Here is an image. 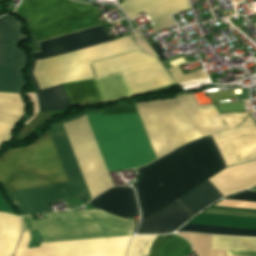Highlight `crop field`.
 I'll list each match as a JSON object with an SVG mask.
<instances>
[{"label": "crop field", "mask_w": 256, "mask_h": 256, "mask_svg": "<svg viewBox=\"0 0 256 256\" xmlns=\"http://www.w3.org/2000/svg\"><path fill=\"white\" fill-rule=\"evenodd\" d=\"M87 110L68 120L51 124L49 130L68 181L81 191L90 193L83 180L63 123L77 119ZM49 132L22 148L11 149L0 156V183L7 192L67 181ZM68 182L7 193L22 215L49 212L48 204L59 198L83 194Z\"/></svg>", "instance_id": "ac0d7876"}, {"label": "crop field", "mask_w": 256, "mask_h": 256, "mask_svg": "<svg viewBox=\"0 0 256 256\" xmlns=\"http://www.w3.org/2000/svg\"><path fill=\"white\" fill-rule=\"evenodd\" d=\"M151 46L156 51V53L158 54L160 60L166 59L164 57V55L161 53V52H164V50L157 43L151 44Z\"/></svg>", "instance_id": "ae1a2a85"}, {"label": "crop field", "mask_w": 256, "mask_h": 256, "mask_svg": "<svg viewBox=\"0 0 256 256\" xmlns=\"http://www.w3.org/2000/svg\"><path fill=\"white\" fill-rule=\"evenodd\" d=\"M32 221L22 217L24 229H38L43 242L132 235L135 221L124 220L100 210L47 214Z\"/></svg>", "instance_id": "dd49c442"}, {"label": "crop field", "mask_w": 256, "mask_h": 256, "mask_svg": "<svg viewBox=\"0 0 256 256\" xmlns=\"http://www.w3.org/2000/svg\"><path fill=\"white\" fill-rule=\"evenodd\" d=\"M170 235L166 236H136L134 237L130 244H129V251L127 256H158L159 249L161 244L169 237Z\"/></svg>", "instance_id": "bc2a9ffb"}, {"label": "crop field", "mask_w": 256, "mask_h": 256, "mask_svg": "<svg viewBox=\"0 0 256 256\" xmlns=\"http://www.w3.org/2000/svg\"><path fill=\"white\" fill-rule=\"evenodd\" d=\"M88 204L124 219L139 215L132 188H111Z\"/></svg>", "instance_id": "22f410ed"}, {"label": "crop field", "mask_w": 256, "mask_h": 256, "mask_svg": "<svg viewBox=\"0 0 256 256\" xmlns=\"http://www.w3.org/2000/svg\"><path fill=\"white\" fill-rule=\"evenodd\" d=\"M232 1H233L234 5H235L236 3H238V2H240L242 0H232Z\"/></svg>", "instance_id": "d3111659"}, {"label": "crop field", "mask_w": 256, "mask_h": 256, "mask_svg": "<svg viewBox=\"0 0 256 256\" xmlns=\"http://www.w3.org/2000/svg\"><path fill=\"white\" fill-rule=\"evenodd\" d=\"M138 112L157 158L202 138L178 105ZM224 168L226 166L211 136L137 168L140 179L133 186L142 213L140 222Z\"/></svg>", "instance_id": "8a807250"}, {"label": "crop field", "mask_w": 256, "mask_h": 256, "mask_svg": "<svg viewBox=\"0 0 256 256\" xmlns=\"http://www.w3.org/2000/svg\"><path fill=\"white\" fill-rule=\"evenodd\" d=\"M186 244H188L187 241L173 234L162 245L160 256H180L181 250Z\"/></svg>", "instance_id": "dafd665d"}, {"label": "crop field", "mask_w": 256, "mask_h": 256, "mask_svg": "<svg viewBox=\"0 0 256 256\" xmlns=\"http://www.w3.org/2000/svg\"><path fill=\"white\" fill-rule=\"evenodd\" d=\"M221 116L230 129L212 137L226 165L256 159V123L250 111ZM208 180L224 196L254 186L256 161L226 168ZM208 180L178 198L193 216L224 197ZM178 199L140 223L136 234H166L179 228L192 215Z\"/></svg>", "instance_id": "412701ff"}, {"label": "crop field", "mask_w": 256, "mask_h": 256, "mask_svg": "<svg viewBox=\"0 0 256 256\" xmlns=\"http://www.w3.org/2000/svg\"><path fill=\"white\" fill-rule=\"evenodd\" d=\"M9 214L0 212V256H12L20 236V219Z\"/></svg>", "instance_id": "5142ce71"}, {"label": "crop field", "mask_w": 256, "mask_h": 256, "mask_svg": "<svg viewBox=\"0 0 256 256\" xmlns=\"http://www.w3.org/2000/svg\"><path fill=\"white\" fill-rule=\"evenodd\" d=\"M83 1H86V0H83Z\"/></svg>", "instance_id": "750c4746"}, {"label": "crop field", "mask_w": 256, "mask_h": 256, "mask_svg": "<svg viewBox=\"0 0 256 256\" xmlns=\"http://www.w3.org/2000/svg\"><path fill=\"white\" fill-rule=\"evenodd\" d=\"M105 101L133 97L121 73L96 79Z\"/></svg>", "instance_id": "733c2abd"}, {"label": "crop field", "mask_w": 256, "mask_h": 256, "mask_svg": "<svg viewBox=\"0 0 256 256\" xmlns=\"http://www.w3.org/2000/svg\"><path fill=\"white\" fill-rule=\"evenodd\" d=\"M169 71L178 82V84L207 79L202 70L184 75L178 66H176L172 69H169Z\"/></svg>", "instance_id": "00972430"}, {"label": "crop field", "mask_w": 256, "mask_h": 256, "mask_svg": "<svg viewBox=\"0 0 256 256\" xmlns=\"http://www.w3.org/2000/svg\"><path fill=\"white\" fill-rule=\"evenodd\" d=\"M1 16V15H0Z\"/></svg>", "instance_id": "1d83c4d3"}, {"label": "crop field", "mask_w": 256, "mask_h": 256, "mask_svg": "<svg viewBox=\"0 0 256 256\" xmlns=\"http://www.w3.org/2000/svg\"><path fill=\"white\" fill-rule=\"evenodd\" d=\"M16 126L14 123L0 121V145L6 141H10L12 137L11 130Z\"/></svg>", "instance_id": "a9b5d70f"}, {"label": "crop field", "mask_w": 256, "mask_h": 256, "mask_svg": "<svg viewBox=\"0 0 256 256\" xmlns=\"http://www.w3.org/2000/svg\"><path fill=\"white\" fill-rule=\"evenodd\" d=\"M107 41L111 40L103 28L99 26L60 38L40 42L41 53L32 54V65L29 69V75L35 84L41 112L71 107L61 83L94 77L89 61L93 62L98 59L138 49L131 41L130 36L104 43ZM84 48H87L89 61ZM60 54L64 55L57 56ZM35 61H37L36 66ZM33 71L40 90L58 84L61 85L40 91L33 76Z\"/></svg>", "instance_id": "f4fd0767"}, {"label": "crop field", "mask_w": 256, "mask_h": 256, "mask_svg": "<svg viewBox=\"0 0 256 256\" xmlns=\"http://www.w3.org/2000/svg\"><path fill=\"white\" fill-rule=\"evenodd\" d=\"M252 191H256V188L252 189ZM228 199L242 200V201H256V192L247 191Z\"/></svg>", "instance_id": "eef30255"}, {"label": "crop field", "mask_w": 256, "mask_h": 256, "mask_svg": "<svg viewBox=\"0 0 256 256\" xmlns=\"http://www.w3.org/2000/svg\"><path fill=\"white\" fill-rule=\"evenodd\" d=\"M22 22L0 18V91L21 93L25 87L23 72L28 55L18 43L27 41L22 33Z\"/></svg>", "instance_id": "5a996713"}, {"label": "crop field", "mask_w": 256, "mask_h": 256, "mask_svg": "<svg viewBox=\"0 0 256 256\" xmlns=\"http://www.w3.org/2000/svg\"><path fill=\"white\" fill-rule=\"evenodd\" d=\"M96 78L121 72L123 76L147 70L161 63L140 50L91 63ZM133 94L175 84L161 67L124 77Z\"/></svg>", "instance_id": "d8731c3e"}, {"label": "crop field", "mask_w": 256, "mask_h": 256, "mask_svg": "<svg viewBox=\"0 0 256 256\" xmlns=\"http://www.w3.org/2000/svg\"><path fill=\"white\" fill-rule=\"evenodd\" d=\"M100 110L104 114L137 112L135 108V104L118 106V107H105V108H101Z\"/></svg>", "instance_id": "4177f3b9"}, {"label": "crop field", "mask_w": 256, "mask_h": 256, "mask_svg": "<svg viewBox=\"0 0 256 256\" xmlns=\"http://www.w3.org/2000/svg\"><path fill=\"white\" fill-rule=\"evenodd\" d=\"M180 231L198 233L256 236V229L190 223Z\"/></svg>", "instance_id": "214f88e0"}, {"label": "crop field", "mask_w": 256, "mask_h": 256, "mask_svg": "<svg viewBox=\"0 0 256 256\" xmlns=\"http://www.w3.org/2000/svg\"><path fill=\"white\" fill-rule=\"evenodd\" d=\"M108 171L143 166L155 159L138 113L86 115ZM86 116L64 124L81 172L94 197L114 186Z\"/></svg>", "instance_id": "34b2d1b8"}, {"label": "crop field", "mask_w": 256, "mask_h": 256, "mask_svg": "<svg viewBox=\"0 0 256 256\" xmlns=\"http://www.w3.org/2000/svg\"><path fill=\"white\" fill-rule=\"evenodd\" d=\"M25 103L21 94L0 93V120L17 123L23 117Z\"/></svg>", "instance_id": "4a817a6b"}, {"label": "crop field", "mask_w": 256, "mask_h": 256, "mask_svg": "<svg viewBox=\"0 0 256 256\" xmlns=\"http://www.w3.org/2000/svg\"><path fill=\"white\" fill-rule=\"evenodd\" d=\"M136 41H134L137 46L143 50L144 52L151 54L155 57H157V54L155 51L151 48V46L146 42V40L143 38L141 34H133L132 35ZM158 58V57H157Z\"/></svg>", "instance_id": "730fd06b"}, {"label": "crop field", "mask_w": 256, "mask_h": 256, "mask_svg": "<svg viewBox=\"0 0 256 256\" xmlns=\"http://www.w3.org/2000/svg\"><path fill=\"white\" fill-rule=\"evenodd\" d=\"M131 236L97 238L66 242L41 243L39 248L27 249L30 233L23 232L15 256H124Z\"/></svg>", "instance_id": "3316defc"}, {"label": "crop field", "mask_w": 256, "mask_h": 256, "mask_svg": "<svg viewBox=\"0 0 256 256\" xmlns=\"http://www.w3.org/2000/svg\"><path fill=\"white\" fill-rule=\"evenodd\" d=\"M178 104L203 137L220 133L228 126L213 105L200 106L194 94H187L172 100H160L137 104V109Z\"/></svg>", "instance_id": "28ad6ade"}, {"label": "crop field", "mask_w": 256, "mask_h": 256, "mask_svg": "<svg viewBox=\"0 0 256 256\" xmlns=\"http://www.w3.org/2000/svg\"><path fill=\"white\" fill-rule=\"evenodd\" d=\"M63 85L72 106L104 102L94 78Z\"/></svg>", "instance_id": "cbeb9de0"}, {"label": "crop field", "mask_w": 256, "mask_h": 256, "mask_svg": "<svg viewBox=\"0 0 256 256\" xmlns=\"http://www.w3.org/2000/svg\"><path fill=\"white\" fill-rule=\"evenodd\" d=\"M211 249H226L238 251H256V238H238L213 236ZM226 251L227 255L256 256V252Z\"/></svg>", "instance_id": "d9b57169"}, {"label": "crop field", "mask_w": 256, "mask_h": 256, "mask_svg": "<svg viewBox=\"0 0 256 256\" xmlns=\"http://www.w3.org/2000/svg\"><path fill=\"white\" fill-rule=\"evenodd\" d=\"M253 1H256V0H253Z\"/></svg>", "instance_id": "bd1437ed"}, {"label": "crop field", "mask_w": 256, "mask_h": 256, "mask_svg": "<svg viewBox=\"0 0 256 256\" xmlns=\"http://www.w3.org/2000/svg\"><path fill=\"white\" fill-rule=\"evenodd\" d=\"M125 1H129V0H124V2ZM179 1H182V0H132V1L120 4V7L126 13L128 18H130L140 12L161 7L164 5H168L171 3L179 2ZM188 9H190V7L188 4V1L186 0L179 3L164 6L161 8L146 11V13L151 19H153L160 16L168 15L177 11L188 10ZM152 21L156 27L154 28L155 32L170 26H174V23L170 15L153 19Z\"/></svg>", "instance_id": "d1516ede"}, {"label": "crop field", "mask_w": 256, "mask_h": 256, "mask_svg": "<svg viewBox=\"0 0 256 256\" xmlns=\"http://www.w3.org/2000/svg\"><path fill=\"white\" fill-rule=\"evenodd\" d=\"M187 239L197 256H225L224 250H210V235L177 233Z\"/></svg>", "instance_id": "92a150f3"}, {"label": "crop field", "mask_w": 256, "mask_h": 256, "mask_svg": "<svg viewBox=\"0 0 256 256\" xmlns=\"http://www.w3.org/2000/svg\"><path fill=\"white\" fill-rule=\"evenodd\" d=\"M15 13L27 20L33 41L103 24L93 5L70 0H23Z\"/></svg>", "instance_id": "e52e79f7"}]
</instances>
